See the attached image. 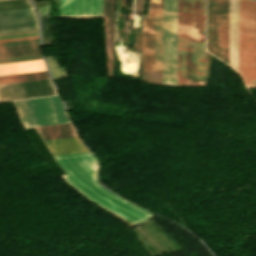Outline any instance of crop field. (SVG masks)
I'll return each instance as SVG.
<instances>
[{"label": "crop field", "instance_id": "3316defc", "mask_svg": "<svg viewBox=\"0 0 256 256\" xmlns=\"http://www.w3.org/2000/svg\"><path fill=\"white\" fill-rule=\"evenodd\" d=\"M44 143L49 148L52 156L88 151L82 146L77 137L47 140Z\"/></svg>", "mask_w": 256, "mask_h": 256}, {"label": "crop field", "instance_id": "412701ff", "mask_svg": "<svg viewBox=\"0 0 256 256\" xmlns=\"http://www.w3.org/2000/svg\"><path fill=\"white\" fill-rule=\"evenodd\" d=\"M177 0H163L162 85H176Z\"/></svg>", "mask_w": 256, "mask_h": 256}, {"label": "crop field", "instance_id": "22f410ed", "mask_svg": "<svg viewBox=\"0 0 256 256\" xmlns=\"http://www.w3.org/2000/svg\"><path fill=\"white\" fill-rule=\"evenodd\" d=\"M40 54L39 44L0 48V58Z\"/></svg>", "mask_w": 256, "mask_h": 256}, {"label": "crop field", "instance_id": "34b2d1b8", "mask_svg": "<svg viewBox=\"0 0 256 256\" xmlns=\"http://www.w3.org/2000/svg\"><path fill=\"white\" fill-rule=\"evenodd\" d=\"M23 128L70 122L58 96L15 101Z\"/></svg>", "mask_w": 256, "mask_h": 256}, {"label": "crop field", "instance_id": "cbeb9de0", "mask_svg": "<svg viewBox=\"0 0 256 256\" xmlns=\"http://www.w3.org/2000/svg\"><path fill=\"white\" fill-rule=\"evenodd\" d=\"M104 17H107V50H113L114 0H104Z\"/></svg>", "mask_w": 256, "mask_h": 256}, {"label": "crop field", "instance_id": "8a807250", "mask_svg": "<svg viewBox=\"0 0 256 256\" xmlns=\"http://www.w3.org/2000/svg\"><path fill=\"white\" fill-rule=\"evenodd\" d=\"M53 158L66 173L60 177L93 203L134 225L150 218V213L116 197L97 184L98 163L89 152Z\"/></svg>", "mask_w": 256, "mask_h": 256}, {"label": "crop field", "instance_id": "ac0d7876", "mask_svg": "<svg viewBox=\"0 0 256 256\" xmlns=\"http://www.w3.org/2000/svg\"><path fill=\"white\" fill-rule=\"evenodd\" d=\"M238 75L256 87V1L239 0Z\"/></svg>", "mask_w": 256, "mask_h": 256}, {"label": "crop field", "instance_id": "4a817a6b", "mask_svg": "<svg viewBox=\"0 0 256 256\" xmlns=\"http://www.w3.org/2000/svg\"><path fill=\"white\" fill-rule=\"evenodd\" d=\"M45 60L54 79L66 76L64 67H59L53 57L46 56Z\"/></svg>", "mask_w": 256, "mask_h": 256}, {"label": "crop field", "instance_id": "e52e79f7", "mask_svg": "<svg viewBox=\"0 0 256 256\" xmlns=\"http://www.w3.org/2000/svg\"><path fill=\"white\" fill-rule=\"evenodd\" d=\"M60 18H102V0H59Z\"/></svg>", "mask_w": 256, "mask_h": 256}, {"label": "crop field", "instance_id": "28ad6ade", "mask_svg": "<svg viewBox=\"0 0 256 256\" xmlns=\"http://www.w3.org/2000/svg\"><path fill=\"white\" fill-rule=\"evenodd\" d=\"M46 70L42 60L0 65V76Z\"/></svg>", "mask_w": 256, "mask_h": 256}, {"label": "crop field", "instance_id": "d1516ede", "mask_svg": "<svg viewBox=\"0 0 256 256\" xmlns=\"http://www.w3.org/2000/svg\"><path fill=\"white\" fill-rule=\"evenodd\" d=\"M42 140L77 136L71 123L35 128Z\"/></svg>", "mask_w": 256, "mask_h": 256}, {"label": "crop field", "instance_id": "bc2a9ffb", "mask_svg": "<svg viewBox=\"0 0 256 256\" xmlns=\"http://www.w3.org/2000/svg\"><path fill=\"white\" fill-rule=\"evenodd\" d=\"M42 59L41 55L37 56H28V57H19V58H9V59H0V63H9V62H18V61H28V60H38Z\"/></svg>", "mask_w": 256, "mask_h": 256}, {"label": "crop field", "instance_id": "dafd665d", "mask_svg": "<svg viewBox=\"0 0 256 256\" xmlns=\"http://www.w3.org/2000/svg\"><path fill=\"white\" fill-rule=\"evenodd\" d=\"M35 35H39V34H38V33H34V34H24V35L5 36V37H0V39L15 38V37H25V36H35Z\"/></svg>", "mask_w": 256, "mask_h": 256}, {"label": "crop field", "instance_id": "5142ce71", "mask_svg": "<svg viewBox=\"0 0 256 256\" xmlns=\"http://www.w3.org/2000/svg\"><path fill=\"white\" fill-rule=\"evenodd\" d=\"M45 78H49L46 71L27 73V74H19V75H11V76H3V77H0V84L37 80V79H45Z\"/></svg>", "mask_w": 256, "mask_h": 256}, {"label": "crop field", "instance_id": "92a150f3", "mask_svg": "<svg viewBox=\"0 0 256 256\" xmlns=\"http://www.w3.org/2000/svg\"><path fill=\"white\" fill-rule=\"evenodd\" d=\"M34 30H38V28H34V29H24V30H14V31H4V32H0V35H1V34H9V33H17V32L34 31Z\"/></svg>", "mask_w": 256, "mask_h": 256}, {"label": "crop field", "instance_id": "733c2abd", "mask_svg": "<svg viewBox=\"0 0 256 256\" xmlns=\"http://www.w3.org/2000/svg\"><path fill=\"white\" fill-rule=\"evenodd\" d=\"M42 35H43V46L51 44V23L49 14L41 16Z\"/></svg>", "mask_w": 256, "mask_h": 256}, {"label": "crop field", "instance_id": "214f88e0", "mask_svg": "<svg viewBox=\"0 0 256 256\" xmlns=\"http://www.w3.org/2000/svg\"><path fill=\"white\" fill-rule=\"evenodd\" d=\"M35 43H39V39L0 43V47L25 45V44H35Z\"/></svg>", "mask_w": 256, "mask_h": 256}, {"label": "crop field", "instance_id": "dd49c442", "mask_svg": "<svg viewBox=\"0 0 256 256\" xmlns=\"http://www.w3.org/2000/svg\"><path fill=\"white\" fill-rule=\"evenodd\" d=\"M50 94H56L50 79L0 85V102Z\"/></svg>", "mask_w": 256, "mask_h": 256}, {"label": "crop field", "instance_id": "00972430", "mask_svg": "<svg viewBox=\"0 0 256 256\" xmlns=\"http://www.w3.org/2000/svg\"><path fill=\"white\" fill-rule=\"evenodd\" d=\"M35 38H39V36L25 37V38H15V39H6V40H0V42L15 41V40H25V39H35Z\"/></svg>", "mask_w": 256, "mask_h": 256}, {"label": "crop field", "instance_id": "d8731c3e", "mask_svg": "<svg viewBox=\"0 0 256 256\" xmlns=\"http://www.w3.org/2000/svg\"><path fill=\"white\" fill-rule=\"evenodd\" d=\"M38 27L34 8L0 12V31Z\"/></svg>", "mask_w": 256, "mask_h": 256}, {"label": "crop field", "instance_id": "5a996713", "mask_svg": "<svg viewBox=\"0 0 256 256\" xmlns=\"http://www.w3.org/2000/svg\"><path fill=\"white\" fill-rule=\"evenodd\" d=\"M238 0H229V65L237 72Z\"/></svg>", "mask_w": 256, "mask_h": 256}, {"label": "crop field", "instance_id": "d9b57169", "mask_svg": "<svg viewBox=\"0 0 256 256\" xmlns=\"http://www.w3.org/2000/svg\"><path fill=\"white\" fill-rule=\"evenodd\" d=\"M32 7L29 0H3L0 1V11Z\"/></svg>", "mask_w": 256, "mask_h": 256}, {"label": "crop field", "instance_id": "f4fd0767", "mask_svg": "<svg viewBox=\"0 0 256 256\" xmlns=\"http://www.w3.org/2000/svg\"><path fill=\"white\" fill-rule=\"evenodd\" d=\"M162 10L143 16L142 69H161Z\"/></svg>", "mask_w": 256, "mask_h": 256}]
</instances>
